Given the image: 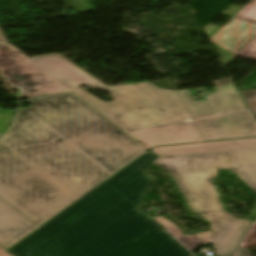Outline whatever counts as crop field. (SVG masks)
<instances>
[{"mask_svg":"<svg viewBox=\"0 0 256 256\" xmlns=\"http://www.w3.org/2000/svg\"><path fill=\"white\" fill-rule=\"evenodd\" d=\"M26 100L0 172L57 214L149 150L73 92Z\"/></svg>","mask_w":256,"mask_h":256,"instance_id":"1","label":"crop field"},{"mask_svg":"<svg viewBox=\"0 0 256 256\" xmlns=\"http://www.w3.org/2000/svg\"><path fill=\"white\" fill-rule=\"evenodd\" d=\"M151 151L25 238L16 256H107L133 238L162 231L135 206L155 181L142 171ZM146 207V206H145Z\"/></svg>","mask_w":256,"mask_h":256,"instance_id":"2","label":"crop field"},{"mask_svg":"<svg viewBox=\"0 0 256 256\" xmlns=\"http://www.w3.org/2000/svg\"><path fill=\"white\" fill-rule=\"evenodd\" d=\"M31 60L149 149L204 141L178 91L149 82L107 88L57 54ZM81 85L108 91L115 101H100Z\"/></svg>","mask_w":256,"mask_h":256,"instance_id":"3","label":"crop field"},{"mask_svg":"<svg viewBox=\"0 0 256 256\" xmlns=\"http://www.w3.org/2000/svg\"><path fill=\"white\" fill-rule=\"evenodd\" d=\"M155 164L173 175L192 212L210 223L226 213L212 182L216 169L233 171L256 193V149L165 156Z\"/></svg>","mask_w":256,"mask_h":256,"instance_id":"4","label":"crop field"},{"mask_svg":"<svg viewBox=\"0 0 256 256\" xmlns=\"http://www.w3.org/2000/svg\"><path fill=\"white\" fill-rule=\"evenodd\" d=\"M0 71L25 96L71 91L9 44L0 31Z\"/></svg>","mask_w":256,"mask_h":256,"instance_id":"5","label":"crop field"},{"mask_svg":"<svg viewBox=\"0 0 256 256\" xmlns=\"http://www.w3.org/2000/svg\"><path fill=\"white\" fill-rule=\"evenodd\" d=\"M249 223L250 220L234 219L229 214H224L219 221L212 224L211 231L183 237L180 236L176 239L192 252L199 245L212 244L216 255L229 256Z\"/></svg>","mask_w":256,"mask_h":256,"instance_id":"6","label":"crop field"},{"mask_svg":"<svg viewBox=\"0 0 256 256\" xmlns=\"http://www.w3.org/2000/svg\"><path fill=\"white\" fill-rule=\"evenodd\" d=\"M195 122L205 141L256 136V126L244 110Z\"/></svg>","mask_w":256,"mask_h":256,"instance_id":"7","label":"crop field"},{"mask_svg":"<svg viewBox=\"0 0 256 256\" xmlns=\"http://www.w3.org/2000/svg\"><path fill=\"white\" fill-rule=\"evenodd\" d=\"M0 198L39 227L57 215L1 173Z\"/></svg>","mask_w":256,"mask_h":256,"instance_id":"8","label":"crop field"},{"mask_svg":"<svg viewBox=\"0 0 256 256\" xmlns=\"http://www.w3.org/2000/svg\"><path fill=\"white\" fill-rule=\"evenodd\" d=\"M109 256H191L164 231L133 239Z\"/></svg>","mask_w":256,"mask_h":256,"instance_id":"9","label":"crop field"},{"mask_svg":"<svg viewBox=\"0 0 256 256\" xmlns=\"http://www.w3.org/2000/svg\"><path fill=\"white\" fill-rule=\"evenodd\" d=\"M37 228L0 199V244L6 250Z\"/></svg>","mask_w":256,"mask_h":256,"instance_id":"10","label":"crop field"},{"mask_svg":"<svg viewBox=\"0 0 256 256\" xmlns=\"http://www.w3.org/2000/svg\"><path fill=\"white\" fill-rule=\"evenodd\" d=\"M256 148V139L155 147L158 156Z\"/></svg>","mask_w":256,"mask_h":256,"instance_id":"11","label":"crop field"},{"mask_svg":"<svg viewBox=\"0 0 256 256\" xmlns=\"http://www.w3.org/2000/svg\"><path fill=\"white\" fill-rule=\"evenodd\" d=\"M214 82L218 88V91L210 94V98L207 100L216 115L239 109H246L230 78L217 80Z\"/></svg>","mask_w":256,"mask_h":256,"instance_id":"12","label":"crop field"},{"mask_svg":"<svg viewBox=\"0 0 256 256\" xmlns=\"http://www.w3.org/2000/svg\"><path fill=\"white\" fill-rule=\"evenodd\" d=\"M179 93L183 98L193 120L213 115L206 101L194 102L188 90H181Z\"/></svg>","mask_w":256,"mask_h":256,"instance_id":"13","label":"crop field"},{"mask_svg":"<svg viewBox=\"0 0 256 256\" xmlns=\"http://www.w3.org/2000/svg\"><path fill=\"white\" fill-rule=\"evenodd\" d=\"M235 16L240 19L256 23V0H251V3H249L247 6H245Z\"/></svg>","mask_w":256,"mask_h":256,"instance_id":"14","label":"crop field"},{"mask_svg":"<svg viewBox=\"0 0 256 256\" xmlns=\"http://www.w3.org/2000/svg\"><path fill=\"white\" fill-rule=\"evenodd\" d=\"M256 121V90L240 92Z\"/></svg>","mask_w":256,"mask_h":256,"instance_id":"15","label":"crop field"},{"mask_svg":"<svg viewBox=\"0 0 256 256\" xmlns=\"http://www.w3.org/2000/svg\"><path fill=\"white\" fill-rule=\"evenodd\" d=\"M157 223H159L166 231L172 234L175 238L183 234L180 229H178L174 224H172L167 219L158 216L153 218Z\"/></svg>","mask_w":256,"mask_h":256,"instance_id":"16","label":"crop field"},{"mask_svg":"<svg viewBox=\"0 0 256 256\" xmlns=\"http://www.w3.org/2000/svg\"><path fill=\"white\" fill-rule=\"evenodd\" d=\"M238 57L256 61V38L238 55Z\"/></svg>","mask_w":256,"mask_h":256,"instance_id":"17","label":"crop field"},{"mask_svg":"<svg viewBox=\"0 0 256 256\" xmlns=\"http://www.w3.org/2000/svg\"><path fill=\"white\" fill-rule=\"evenodd\" d=\"M235 256H251V254L248 250L239 248V250Z\"/></svg>","mask_w":256,"mask_h":256,"instance_id":"18","label":"crop field"},{"mask_svg":"<svg viewBox=\"0 0 256 256\" xmlns=\"http://www.w3.org/2000/svg\"><path fill=\"white\" fill-rule=\"evenodd\" d=\"M6 250L0 245V256H11L5 252Z\"/></svg>","mask_w":256,"mask_h":256,"instance_id":"19","label":"crop field"},{"mask_svg":"<svg viewBox=\"0 0 256 256\" xmlns=\"http://www.w3.org/2000/svg\"><path fill=\"white\" fill-rule=\"evenodd\" d=\"M2 135H4V134H3V133H0V137H1Z\"/></svg>","mask_w":256,"mask_h":256,"instance_id":"20","label":"crop field"}]
</instances>
